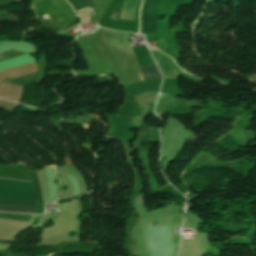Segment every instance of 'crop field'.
<instances>
[{
	"label": "crop field",
	"instance_id": "crop-field-8",
	"mask_svg": "<svg viewBox=\"0 0 256 256\" xmlns=\"http://www.w3.org/2000/svg\"><path fill=\"white\" fill-rule=\"evenodd\" d=\"M79 14H80V16H81V20H83V19H88V18L91 17V13L89 12L88 9L80 10V11H79ZM89 20H90V19H88V20H83V21H81V24H83V23H85V22H88Z\"/></svg>",
	"mask_w": 256,
	"mask_h": 256
},
{
	"label": "crop field",
	"instance_id": "crop-field-10",
	"mask_svg": "<svg viewBox=\"0 0 256 256\" xmlns=\"http://www.w3.org/2000/svg\"><path fill=\"white\" fill-rule=\"evenodd\" d=\"M20 1H22V0H0V5L12 3V2H20Z\"/></svg>",
	"mask_w": 256,
	"mask_h": 256
},
{
	"label": "crop field",
	"instance_id": "crop-field-5",
	"mask_svg": "<svg viewBox=\"0 0 256 256\" xmlns=\"http://www.w3.org/2000/svg\"><path fill=\"white\" fill-rule=\"evenodd\" d=\"M140 70L144 80L161 77L155 63L141 66Z\"/></svg>",
	"mask_w": 256,
	"mask_h": 256
},
{
	"label": "crop field",
	"instance_id": "crop-field-3",
	"mask_svg": "<svg viewBox=\"0 0 256 256\" xmlns=\"http://www.w3.org/2000/svg\"><path fill=\"white\" fill-rule=\"evenodd\" d=\"M151 51L164 75V78L178 77L177 73L174 71V69L171 67L170 63L167 61L162 53H160L158 50Z\"/></svg>",
	"mask_w": 256,
	"mask_h": 256
},
{
	"label": "crop field",
	"instance_id": "crop-field-6",
	"mask_svg": "<svg viewBox=\"0 0 256 256\" xmlns=\"http://www.w3.org/2000/svg\"><path fill=\"white\" fill-rule=\"evenodd\" d=\"M76 10L94 6L91 0H67Z\"/></svg>",
	"mask_w": 256,
	"mask_h": 256
},
{
	"label": "crop field",
	"instance_id": "crop-field-7",
	"mask_svg": "<svg viewBox=\"0 0 256 256\" xmlns=\"http://www.w3.org/2000/svg\"><path fill=\"white\" fill-rule=\"evenodd\" d=\"M25 54L26 53L11 50V51L0 54V62L10 60V59H13V58L25 55Z\"/></svg>",
	"mask_w": 256,
	"mask_h": 256
},
{
	"label": "crop field",
	"instance_id": "crop-field-2",
	"mask_svg": "<svg viewBox=\"0 0 256 256\" xmlns=\"http://www.w3.org/2000/svg\"><path fill=\"white\" fill-rule=\"evenodd\" d=\"M0 204L35 207L34 202H29V201H14V200L0 199ZM4 205H0V211L34 213V210H35V208H29V207H16V206H4Z\"/></svg>",
	"mask_w": 256,
	"mask_h": 256
},
{
	"label": "crop field",
	"instance_id": "crop-field-9",
	"mask_svg": "<svg viewBox=\"0 0 256 256\" xmlns=\"http://www.w3.org/2000/svg\"><path fill=\"white\" fill-rule=\"evenodd\" d=\"M0 217L15 218V219H25V220H30V218H31V216H26V215H12V214H0Z\"/></svg>",
	"mask_w": 256,
	"mask_h": 256
},
{
	"label": "crop field",
	"instance_id": "crop-field-4",
	"mask_svg": "<svg viewBox=\"0 0 256 256\" xmlns=\"http://www.w3.org/2000/svg\"><path fill=\"white\" fill-rule=\"evenodd\" d=\"M137 1L138 0L125 1L122 9L121 18L133 20L134 13L136 11Z\"/></svg>",
	"mask_w": 256,
	"mask_h": 256
},
{
	"label": "crop field",
	"instance_id": "crop-field-1",
	"mask_svg": "<svg viewBox=\"0 0 256 256\" xmlns=\"http://www.w3.org/2000/svg\"><path fill=\"white\" fill-rule=\"evenodd\" d=\"M141 33H155L159 0H144Z\"/></svg>",
	"mask_w": 256,
	"mask_h": 256
}]
</instances>
